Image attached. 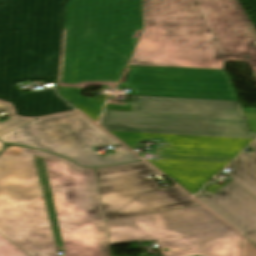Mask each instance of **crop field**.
Returning <instances> with one entry per match:
<instances>
[{"label": "crop field", "mask_w": 256, "mask_h": 256, "mask_svg": "<svg viewBox=\"0 0 256 256\" xmlns=\"http://www.w3.org/2000/svg\"><path fill=\"white\" fill-rule=\"evenodd\" d=\"M0 233L31 256H111L94 169L23 146L6 148Z\"/></svg>", "instance_id": "8a807250"}, {"label": "crop field", "mask_w": 256, "mask_h": 256, "mask_svg": "<svg viewBox=\"0 0 256 256\" xmlns=\"http://www.w3.org/2000/svg\"><path fill=\"white\" fill-rule=\"evenodd\" d=\"M242 256H256V245L243 237Z\"/></svg>", "instance_id": "733c2abd"}, {"label": "crop field", "mask_w": 256, "mask_h": 256, "mask_svg": "<svg viewBox=\"0 0 256 256\" xmlns=\"http://www.w3.org/2000/svg\"><path fill=\"white\" fill-rule=\"evenodd\" d=\"M59 58H60V57H58V58H53V61H58V62H59Z\"/></svg>", "instance_id": "dafd665d"}, {"label": "crop field", "mask_w": 256, "mask_h": 256, "mask_svg": "<svg viewBox=\"0 0 256 256\" xmlns=\"http://www.w3.org/2000/svg\"><path fill=\"white\" fill-rule=\"evenodd\" d=\"M243 116H244V115H243L242 110H241V108H240V111H239L237 117H243Z\"/></svg>", "instance_id": "214f88e0"}, {"label": "crop field", "mask_w": 256, "mask_h": 256, "mask_svg": "<svg viewBox=\"0 0 256 256\" xmlns=\"http://www.w3.org/2000/svg\"><path fill=\"white\" fill-rule=\"evenodd\" d=\"M228 168L232 169L228 174L231 180L236 182L256 198V173L235 159Z\"/></svg>", "instance_id": "22f410ed"}, {"label": "crop field", "mask_w": 256, "mask_h": 256, "mask_svg": "<svg viewBox=\"0 0 256 256\" xmlns=\"http://www.w3.org/2000/svg\"><path fill=\"white\" fill-rule=\"evenodd\" d=\"M99 125L107 130L254 139L244 118L143 114L104 111ZM241 150L161 146L158 158L230 162Z\"/></svg>", "instance_id": "e52e79f7"}, {"label": "crop field", "mask_w": 256, "mask_h": 256, "mask_svg": "<svg viewBox=\"0 0 256 256\" xmlns=\"http://www.w3.org/2000/svg\"><path fill=\"white\" fill-rule=\"evenodd\" d=\"M118 87L137 96L237 101L224 70L128 66Z\"/></svg>", "instance_id": "5a996713"}, {"label": "crop field", "mask_w": 256, "mask_h": 256, "mask_svg": "<svg viewBox=\"0 0 256 256\" xmlns=\"http://www.w3.org/2000/svg\"><path fill=\"white\" fill-rule=\"evenodd\" d=\"M224 62L248 61L256 71V31L236 0H199Z\"/></svg>", "instance_id": "3316defc"}, {"label": "crop field", "mask_w": 256, "mask_h": 256, "mask_svg": "<svg viewBox=\"0 0 256 256\" xmlns=\"http://www.w3.org/2000/svg\"><path fill=\"white\" fill-rule=\"evenodd\" d=\"M69 49V48H68ZM68 49H67V52H66V58H68Z\"/></svg>", "instance_id": "4177f3b9"}, {"label": "crop field", "mask_w": 256, "mask_h": 256, "mask_svg": "<svg viewBox=\"0 0 256 256\" xmlns=\"http://www.w3.org/2000/svg\"><path fill=\"white\" fill-rule=\"evenodd\" d=\"M95 171L105 221L200 205L176 186L160 188L143 161Z\"/></svg>", "instance_id": "d8731c3e"}, {"label": "crop field", "mask_w": 256, "mask_h": 256, "mask_svg": "<svg viewBox=\"0 0 256 256\" xmlns=\"http://www.w3.org/2000/svg\"><path fill=\"white\" fill-rule=\"evenodd\" d=\"M1 110L6 111L8 114H11V115L13 114L10 106L8 104H6V103L0 102V111Z\"/></svg>", "instance_id": "4a817a6b"}, {"label": "crop field", "mask_w": 256, "mask_h": 256, "mask_svg": "<svg viewBox=\"0 0 256 256\" xmlns=\"http://www.w3.org/2000/svg\"><path fill=\"white\" fill-rule=\"evenodd\" d=\"M0 99H1V100H4V101L11 102V101L7 98V96L1 91V89H0Z\"/></svg>", "instance_id": "bc2a9ffb"}, {"label": "crop field", "mask_w": 256, "mask_h": 256, "mask_svg": "<svg viewBox=\"0 0 256 256\" xmlns=\"http://www.w3.org/2000/svg\"><path fill=\"white\" fill-rule=\"evenodd\" d=\"M105 224L111 246L154 240L162 256H238V234L202 206Z\"/></svg>", "instance_id": "f4fd0767"}, {"label": "crop field", "mask_w": 256, "mask_h": 256, "mask_svg": "<svg viewBox=\"0 0 256 256\" xmlns=\"http://www.w3.org/2000/svg\"><path fill=\"white\" fill-rule=\"evenodd\" d=\"M70 33H71V31H69V35H68V44H67V48L69 47V37H70Z\"/></svg>", "instance_id": "92a150f3"}, {"label": "crop field", "mask_w": 256, "mask_h": 256, "mask_svg": "<svg viewBox=\"0 0 256 256\" xmlns=\"http://www.w3.org/2000/svg\"><path fill=\"white\" fill-rule=\"evenodd\" d=\"M63 15H64V13H60V14H58V16H60V17H63Z\"/></svg>", "instance_id": "a9b5d70f"}, {"label": "crop field", "mask_w": 256, "mask_h": 256, "mask_svg": "<svg viewBox=\"0 0 256 256\" xmlns=\"http://www.w3.org/2000/svg\"><path fill=\"white\" fill-rule=\"evenodd\" d=\"M0 141L55 153L82 167H104L141 160L124 146L113 149L114 154L99 155L91 147L122 144L78 112L38 119L0 136Z\"/></svg>", "instance_id": "dd49c442"}, {"label": "crop field", "mask_w": 256, "mask_h": 256, "mask_svg": "<svg viewBox=\"0 0 256 256\" xmlns=\"http://www.w3.org/2000/svg\"><path fill=\"white\" fill-rule=\"evenodd\" d=\"M36 119H20L15 116L10 117L6 121L0 123V135L14 130L20 126L30 123Z\"/></svg>", "instance_id": "5142ce71"}, {"label": "crop field", "mask_w": 256, "mask_h": 256, "mask_svg": "<svg viewBox=\"0 0 256 256\" xmlns=\"http://www.w3.org/2000/svg\"><path fill=\"white\" fill-rule=\"evenodd\" d=\"M143 17L129 65L224 69L198 0H143Z\"/></svg>", "instance_id": "412701ff"}, {"label": "crop field", "mask_w": 256, "mask_h": 256, "mask_svg": "<svg viewBox=\"0 0 256 256\" xmlns=\"http://www.w3.org/2000/svg\"><path fill=\"white\" fill-rule=\"evenodd\" d=\"M249 147L254 149L255 152L241 154L237 159L256 172V141H254Z\"/></svg>", "instance_id": "d9b57169"}, {"label": "crop field", "mask_w": 256, "mask_h": 256, "mask_svg": "<svg viewBox=\"0 0 256 256\" xmlns=\"http://www.w3.org/2000/svg\"><path fill=\"white\" fill-rule=\"evenodd\" d=\"M68 0H0V88L22 116L73 109L54 91L22 95L14 83L55 78L60 56L64 12Z\"/></svg>", "instance_id": "34b2d1b8"}, {"label": "crop field", "mask_w": 256, "mask_h": 256, "mask_svg": "<svg viewBox=\"0 0 256 256\" xmlns=\"http://www.w3.org/2000/svg\"><path fill=\"white\" fill-rule=\"evenodd\" d=\"M133 112L236 117L238 102L131 96Z\"/></svg>", "instance_id": "d1516ede"}, {"label": "crop field", "mask_w": 256, "mask_h": 256, "mask_svg": "<svg viewBox=\"0 0 256 256\" xmlns=\"http://www.w3.org/2000/svg\"><path fill=\"white\" fill-rule=\"evenodd\" d=\"M3 147L4 145L0 143V151L2 150Z\"/></svg>", "instance_id": "00972430"}, {"label": "crop field", "mask_w": 256, "mask_h": 256, "mask_svg": "<svg viewBox=\"0 0 256 256\" xmlns=\"http://www.w3.org/2000/svg\"><path fill=\"white\" fill-rule=\"evenodd\" d=\"M0 256H30L0 234Z\"/></svg>", "instance_id": "cbeb9de0"}, {"label": "crop field", "mask_w": 256, "mask_h": 256, "mask_svg": "<svg viewBox=\"0 0 256 256\" xmlns=\"http://www.w3.org/2000/svg\"><path fill=\"white\" fill-rule=\"evenodd\" d=\"M256 244V199L229 181L214 195L202 190L194 196Z\"/></svg>", "instance_id": "28ad6ade"}, {"label": "crop field", "mask_w": 256, "mask_h": 256, "mask_svg": "<svg viewBox=\"0 0 256 256\" xmlns=\"http://www.w3.org/2000/svg\"><path fill=\"white\" fill-rule=\"evenodd\" d=\"M65 9L58 92L97 121L105 101L80 93L86 85L118 82L141 30L139 0H69Z\"/></svg>", "instance_id": "ac0d7876"}]
</instances>
